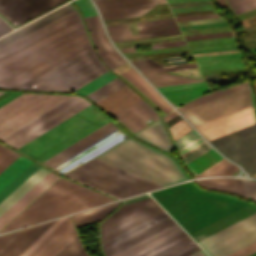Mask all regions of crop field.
<instances>
[{
    "label": "crop field",
    "mask_w": 256,
    "mask_h": 256,
    "mask_svg": "<svg viewBox=\"0 0 256 256\" xmlns=\"http://www.w3.org/2000/svg\"><path fill=\"white\" fill-rule=\"evenodd\" d=\"M116 117L134 133L148 125L143 121L149 118L154 121L159 118L156 112L143 99L117 114Z\"/></svg>",
    "instance_id": "92a150f3"
},
{
    "label": "crop field",
    "mask_w": 256,
    "mask_h": 256,
    "mask_svg": "<svg viewBox=\"0 0 256 256\" xmlns=\"http://www.w3.org/2000/svg\"><path fill=\"white\" fill-rule=\"evenodd\" d=\"M165 0H105L95 2L103 20L141 16Z\"/></svg>",
    "instance_id": "cbeb9de0"
},
{
    "label": "crop field",
    "mask_w": 256,
    "mask_h": 256,
    "mask_svg": "<svg viewBox=\"0 0 256 256\" xmlns=\"http://www.w3.org/2000/svg\"><path fill=\"white\" fill-rule=\"evenodd\" d=\"M239 170V168L224 159L206 169L202 173L194 176V178L204 177V176H212V175H229L235 171Z\"/></svg>",
    "instance_id": "c035e120"
},
{
    "label": "crop field",
    "mask_w": 256,
    "mask_h": 256,
    "mask_svg": "<svg viewBox=\"0 0 256 256\" xmlns=\"http://www.w3.org/2000/svg\"><path fill=\"white\" fill-rule=\"evenodd\" d=\"M107 122L90 105L17 150L42 162Z\"/></svg>",
    "instance_id": "412701ff"
},
{
    "label": "crop field",
    "mask_w": 256,
    "mask_h": 256,
    "mask_svg": "<svg viewBox=\"0 0 256 256\" xmlns=\"http://www.w3.org/2000/svg\"><path fill=\"white\" fill-rule=\"evenodd\" d=\"M12 30V28L7 25L1 18H0V35Z\"/></svg>",
    "instance_id": "ade564c9"
},
{
    "label": "crop field",
    "mask_w": 256,
    "mask_h": 256,
    "mask_svg": "<svg viewBox=\"0 0 256 256\" xmlns=\"http://www.w3.org/2000/svg\"><path fill=\"white\" fill-rule=\"evenodd\" d=\"M101 60H103V62L110 68H114L124 62H126V60H124L117 51H114L104 57L101 58Z\"/></svg>",
    "instance_id": "89e229c0"
},
{
    "label": "crop field",
    "mask_w": 256,
    "mask_h": 256,
    "mask_svg": "<svg viewBox=\"0 0 256 256\" xmlns=\"http://www.w3.org/2000/svg\"><path fill=\"white\" fill-rule=\"evenodd\" d=\"M145 76L156 87L204 81L203 78H201V79H191V78L180 77V76H177V75H174V74H171V73H167V72L147 74Z\"/></svg>",
    "instance_id": "1d83c4d3"
},
{
    "label": "crop field",
    "mask_w": 256,
    "mask_h": 256,
    "mask_svg": "<svg viewBox=\"0 0 256 256\" xmlns=\"http://www.w3.org/2000/svg\"><path fill=\"white\" fill-rule=\"evenodd\" d=\"M256 251V242L228 255V256H247Z\"/></svg>",
    "instance_id": "7b73153f"
},
{
    "label": "crop field",
    "mask_w": 256,
    "mask_h": 256,
    "mask_svg": "<svg viewBox=\"0 0 256 256\" xmlns=\"http://www.w3.org/2000/svg\"><path fill=\"white\" fill-rule=\"evenodd\" d=\"M248 85V81L238 85V86H234V87H231V88H228V89H224V90H221V91H218V92H214V93H211V94H207V95H204V96H201L185 105H183L181 108L182 110L186 109V108H189V107H192L194 105H197V104H200L202 102H205V101H208L210 99H213L215 97H218V96H221L223 94H226V93H229L231 91H234V90H237L239 88H242V87H245Z\"/></svg>",
    "instance_id": "d23c7cc5"
},
{
    "label": "crop field",
    "mask_w": 256,
    "mask_h": 256,
    "mask_svg": "<svg viewBox=\"0 0 256 256\" xmlns=\"http://www.w3.org/2000/svg\"><path fill=\"white\" fill-rule=\"evenodd\" d=\"M93 1H97V0H93Z\"/></svg>",
    "instance_id": "1f1604b0"
},
{
    "label": "crop field",
    "mask_w": 256,
    "mask_h": 256,
    "mask_svg": "<svg viewBox=\"0 0 256 256\" xmlns=\"http://www.w3.org/2000/svg\"><path fill=\"white\" fill-rule=\"evenodd\" d=\"M40 166L35 163H31L27 166L19 175H17L9 184H7L0 191V202L8 196L16 187H18L25 179H27L35 170H37Z\"/></svg>",
    "instance_id": "e1f06a70"
},
{
    "label": "crop field",
    "mask_w": 256,
    "mask_h": 256,
    "mask_svg": "<svg viewBox=\"0 0 256 256\" xmlns=\"http://www.w3.org/2000/svg\"><path fill=\"white\" fill-rule=\"evenodd\" d=\"M180 231H182V229L176 225V226L116 255V256H132V255H134V254H136V253H138V252H140V251H142V250H144V249H146V248H148V247H150V246H152V245H154V244H156V243H158V242H160V241H162Z\"/></svg>",
    "instance_id": "120bbe31"
},
{
    "label": "crop field",
    "mask_w": 256,
    "mask_h": 256,
    "mask_svg": "<svg viewBox=\"0 0 256 256\" xmlns=\"http://www.w3.org/2000/svg\"><path fill=\"white\" fill-rule=\"evenodd\" d=\"M251 104L247 86L181 112L196 126Z\"/></svg>",
    "instance_id": "28ad6ade"
},
{
    "label": "crop field",
    "mask_w": 256,
    "mask_h": 256,
    "mask_svg": "<svg viewBox=\"0 0 256 256\" xmlns=\"http://www.w3.org/2000/svg\"><path fill=\"white\" fill-rule=\"evenodd\" d=\"M67 95L24 93L0 107V138L66 99Z\"/></svg>",
    "instance_id": "e52e79f7"
},
{
    "label": "crop field",
    "mask_w": 256,
    "mask_h": 256,
    "mask_svg": "<svg viewBox=\"0 0 256 256\" xmlns=\"http://www.w3.org/2000/svg\"><path fill=\"white\" fill-rule=\"evenodd\" d=\"M109 201L113 200L61 178L0 232Z\"/></svg>",
    "instance_id": "34b2d1b8"
},
{
    "label": "crop field",
    "mask_w": 256,
    "mask_h": 256,
    "mask_svg": "<svg viewBox=\"0 0 256 256\" xmlns=\"http://www.w3.org/2000/svg\"><path fill=\"white\" fill-rule=\"evenodd\" d=\"M132 62L135 64V66L138 69L162 66L161 64H159L151 59L135 60Z\"/></svg>",
    "instance_id": "db79e9e6"
},
{
    "label": "crop field",
    "mask_w": 256,
    "mask_h": 256,
    "mask_svg": "<svg viewBox=\"0 0 256 256\" xmlns=\"http://www.w3.org/2000/svg\"><path fill=\"white\" fill-rule=\"evenodd\" d=\"M63 1L0 0V13L16 26Z\"/></svg>",
    "instance_id": "22f410ed"
},
{
    "label": "crop field",
    "mask_w": 256,
    "mask_h": 256,
    "mask_svg": "<svg viewBox=\"0 0 256 256\" xmlns=\"http://www.w3.org/2000/svg\"><path fill=\"white\" fill-rule=\"evenodd\" d=\"M208 4H213V3L211 0H204V1L184 2V3H173L169 5L171 8H176V7H187V6L208 5Z\"/></svg>",
    "instance_id": "78b8030e"
},
{
    "label": "crop field",
    "mask_w": 256,
    "mask_h": 256,
    "mask_svg": "<svg viewBox=\"0 0 256 256\" xmlns=\"http://www.w3.org/2000/svg\"><path fill=\"white\" fill-rule=\"evenodd\" d=\"M235 14L255 8L256 0H227Z\"/></svg>",
    "instance_id": "73cf0c24"
},
{
    "label": "crop field",
    "mask_w": 256,
    "mask_h": 256,
    "mask_svg": "<svg viewBox=\"0 0 256 256\" xmlns=\"http://www.w3.org/2000/svg\"><path fill=\"white\" fill-rule=\"evenodd\" d=\"M106 71L92 48L16 88L73 92Z\"/></svg>",
    "instance_id": "f4fd0767"
},
{
    "label": "crop field",
    "mask_w": 256,
    "mask_h": 256,
    "mask_svg": "<svg viewBox=\"0 0 256 256\" xmlns=\"http://www.w3.org/2000/svg\"><path fill=\"white\" fill-rule=\"evenodd\" d=\"M145 197H149V196L147 194H145V195L137 196L134 198L126 199L124 201V203H128V202L142 199ZM159 209H161V208L156 204V202L151 197L145 198L142 200H138L135 202H131L128 204H124L111 217H109L106 221H104V223L101 227L102 238L130 225L131 223H133V222H135V221H137V220H139V219H141ZM161 212H163L162 209L133 223L132 225L102 239V242L120 234L121 232H123V231H125V230H127V229L161 213Z\"/></svg>",
    "instance_id": "3316defc"
},
{
    "label": "crop field",
    "mask_w": 256,
    "mask_h": 256,
    "mask_svg": "<svg viewBox=\"0 0 256 256\" xmlns=\"http://www.w3.org/2000/svg\"><path fill=\"white\" fill-rule=\"evenodd\" d=\"M93 39L98 55L101 57L111 51L113 47L108 42L97 16L84 18Z\"/></svg>",
    "instance_id": "d3111659"
},
{
    "label": "crop field",
    "mask_w": 256,
    "mask_h": 256,
    "mask_svg": "<svg viewBox=\"0 0 256 256\" xmlns=\"http://www.w3.org/2000/svg\"><path fill=\"white\" fill-rule=\"evenodd\" d=\"M113 124L108 123L105 126L101 127L100 129L96 130L95 132L89 134L88 136L84 137L83 139L79 140L78 142L74 143L73 145L69 146L68 148L64 149L63 151L57 153L56 155L52 156L51 158L47 159L46 161L42 162L49 167H54L60 162L64 161L68 157L72 156L76 152L80 151L84 147L88 146L89 144L93 143L97 139L101 138L105 134L109 133L113 129H115Z\"/></svg>",
    "instance_id": "a9b5d70f"
},
{
    "label": "crop field",
    "mask_w": 256,
    "mask_h": 256,
    "mask_svg": "<svg viewBox=\"0 0 256 256\" xmlns=\"http://www.w3.org/2000/svg\"><path fill=\"white\" fill-rule=\"evenodd\" d=\"M253 132H256V124L250 127L244 128L242 130L236 131L234 133L228 134L226 136L220 137L218 139L212 140L209 143L212 144L214 147H216L221 144L227 143L229 141L235 140L237 138L243 137L245 135L251 134Z\"/></svg>",
    "instance_id": "425ffa30"
},
{
    "label": "crop field",
    "mask_w": 256,
    "mask_h": 256,
    "mask_svg": "<svg viewBox=\"0 0 256 256\" xmlns=\"http://www.w3.org/2000/svg\"><path fill=\"white\" fill-rule=\"evenodd\" d=\"M96 159L161 186L187 179L172 158L130 138Z\"/></svg>",
    "instance_id": "ac0d7876"
},
{
    "label": "crop field",
    "mask_w": 256,
    "mask_h": 256,
    "mask_svg": "<svg viewBox=\"0 0 256 256\" xmlns=\"http://www.w3.org/2000/svg\"><path fill=\"white\" fill-rule=\"evenodd\" d=\"M175 115H177V113L175 111H173L170 114H168L165 117H163V119H164V121H167V120H169L170 118H172Z\"/></svg>",
    "instance_id": "c3a83c6f"
},
{
    "label": "crop field",
    "mask_w": 256,
    "mask_h": 256,
    "mask_svg": "<svg viewBox=\"0 0 256 256\" xmlns=\"http://www.w3.org/2000/svg\"><path fill=\"white\" fill-rule=\"evenodd\" d=\"M134 136L141 138L167 152L171 151L172 144L168 138V135L164 129L161 120L149 125L148 127L133 134Z\"/></svg>",
    "instance_id": "eef30255"
},
{
    "label": "crop field",
    "mask_w": 256,
    "mask_h": 256,
    "mask_svg": "<svg viewBox=\"0 0 256 256\" xmlns=\"http://www.w3.org/2000/svg\"><path fill=\"white\" fill-rule=\"evenodd\" d=\"M65 175L120 198L161 187L96 159Z\"/></svg>",
    "instance_id": "dd49c442"
},
{
    "label": "crop field",
    "mask_w": 256,
    "mask_h": 256,
    "mask_svg": "<svg viewBox=\"0 0 256 256\" xmlns=\"http://www.w3.org/2000/svg\"><path fill=\"white\" fill-rule=\"evenodd\" d=\"M178 33H181L180 30L167 31V32H158V33H149V34H141V35H133V36H125V37H115V38H112V40L113 41L130 40V39H138V38L178 34Z\"/></svg>",
    "instance_id": "0fb4a251"
},
{
    "label": "crop field",
    "mask_w": 256,
    "mask_h": 256,
    "mask_svg": "<svg viewBox=\"0 0 256 256\" xmlns=\"http://www.w3.org/2000/svg\"><path fill=\"white\" fill-rule=\"evenodd\" d=\"M225 157L256 173V133L216 147Z\"/></svg>",
    "instance_id": "5142ce71"
},
{
    "label": "crop field",
    "mask_w": 256,
    "mask_h": 256,
    "mask_svg": "<svg viewBox=\"0 0 256 256\" xmlns=\"http://www.w3.org/2000/svg\"><path fill=\"white\" fill-rule=\"evenodd\" d=\"M55 256H88L75 235Z\"/></svg>",
    "instance_id": "b54c1fbb"
},
{
    "label": "crop field",
    "mask_w": 256,
    "mask_h": 256,
    "mask_svg": "<svg viewBox=\"0 0 256 256\" xmlns=\"http://www.w3.org/2000/svg\"><path fill=\"white\" fill-rule=\"evenodd\" d=\"M221 159L223 158L212 149L188 164L198 174Z\"/></svg>",
    "instance_id": "b80d0937"
},
{
    "label": "crop field",
    "mask_w": 256,
    "mask_h": 256,
    "mask_svg": "<svg viewBox=\"0 0 256 256\" xmlns=\"http://www.w3.org/2000/svg\"><path fill=\"white\" fill-rule=\"evenodd\" d=\"M88 105L72 96L0 140L17 149Z\"/></svg>",
    "instance_id": "d8731c3e"
},
{
    "label": "crop field",
    "mask_w": 256,
    "mask_h": 256,
    "mask_svg": "<svg viewBox=\"0 0 256 256\" xmlns=\"http://www.w3.org/2000/svg\"><path fill=\"white\" fill-rule=\"evenodd\" d=\"M219 17L218 14H212V15H201V16H191V17H180L175 18L176 21H182V20H193V19H204V18H215Z\"/></svg>",
    "instance_id": "ae633e8c"
},
{
    "label": "crop field",
    "mask_w": 256,
    "mask_h": 256,
    "mask_svg": "<svg viewBox=\"0 0 256 256\" xmlns=\"http://www.w3.org/2000/svg\"><path fill=\"white\" fill-rule=\"evenodd\" d=\"M114 77H116V76H114L112 73H110L108 71L105 74L99 76L98 78H96V79L92 80L91 82L85 84L84 86L80 87L79 89H77L74 92L86 95V94L90 93L91 91H93L94 89L98 88L99 86L103 85L104 83L108 82L109 80H111Z\"/></svg>",
    "instance_id": "5d738f31"
},
{
    "label": "crop field",
    "mask_w": 256,
    "mask_h": 256,
    "mask_svg": "<svg viewBox=\"0 0 256 256\" xmlns=\"http://www.w3.org/2000/svg\"><path fill=\"white\" fill-rule=\"evenodd\" d=\"M190 240L187 234L183 231L135 256H158L186 241ZM196 246V244L191 240L161 256H176L192 247Z\"/></svg>",
    "instance_id": "00972430"
},
{
    "label": "crop field",
    "mask_w": 256,
    "mask_h": 256,
    "mask_svg": "<svg viewBox=\"0 0 256 256\" xmlns=\"http://www.w3.org/2000/svg\"><path fill=\"white\" fill-rule=\"evenodd\" d=\"M125 85L122 83L117 77L109 81L108 83L104 84L103 86L99 87L98 89L94 90L87 96H89L95 103L103 99L104 97L108 96L112 92L116 91L120 87Z\"/></svg>",
    "instance_id": "03da06ac"
},
{
    "label": "crop field",
    "mask_w": 256,
    "mask_h": 256,
    "mask_svg": "<svg viewBox=\"0 0 256 256\" xmlns=\"http://www.w3.org/2000/svg\"><path fill=\"white\" fill-rule=\"evenodd\" d=\"M191 256H207V255L201 250V251H199V252H197V253H195Z\"/></svg>",
    "instance_id": "7312dd0a"
},
{
    "label": "crop field",
    "mask_w": 256,
    "mask_h": 256,
    "mask_svg": "<svg viewBox=\"0 0 256 256\" xmlns=\"http://www.w3.org/2000/svg\"><path fill=\"white\" fill-rule=\"evenodd\" d=\"M207 91H208L207 87L203 86V87L163 91L161 93L165 95L168 99L173 101L175 104L180 105Z\"/></svg>",
    "instance_id": "d32e631a"
},
{
    "label": "crop field",
    "mask_w": 256,
    "mask_h": 256,
    "mask_svg": "<svg viewBox=\"0 0 256 256\" xmlns=\"http://www.w3.org/2000/svg\"><path fill=\"white\" fill-rule=\"evenodd\" d=\"M203 85H206L205 82L177 85V86H169V87H161V88H157V89L159 91H163V90H171V89H179V88H187V87H195V86H203Z\"/></svg>",
    "instance_id": "0f1d7ab4"
},
{
    "label": "crop field",
    "mask_w": 256,
    "mask_h": 256,
    "mask_svg": "<svg viewBox=\"0 0 256 256\" xmlns=\"http://www.w3.org/2000/svg\"><path fill=\"white\" fill-rule=\"evenodd\" d=\"M74 10L67 4L0 39V47ZM80 18L74 10L0 48V57ZM78 19L2 58L0 88H14L92 48Z\"/></svg>",
    "instance_id": "8a807250"
},
{
    "label": "crop field",
    "mask_w": 256,
    "mask_h": 256,
    "mask_svg": "<svg viewBox=\"0 0 256 256\" xmlns=\"http://www.w3.org/2000/svg\"><path fill=\"white\" fill-rule=\"evenodd\" d=\"M129 82L137 87L142 93H144L149 99L157 104L166 113L172 110V108L132 69H128L122 73Z\"/></svg>",
    "instance_id": "ae1a2a85"
},
{
    "label": "crop field",
    "mask_w": 256,
    "mask_h": 256,
    "mask_svg": "<svg viewBox=\"0 0 256 256\" xmlns=\"http://www.w3.org/2000/svg\"><path fill=\"white\" fill-rule=\"evenodd\" d=\"M118 205V202L109 204L103 207H99L93 210H89L83 213L72 215L73 222L76 227L98 222L102 217H104L108 212H110L114 207Z\"/></svg>",
    "instance_id": "bd1437ed"
},
{
    "label": "crop field",
    "mask_w": 256,
    "mask_h": 256,
    "mask_svg": "<svg viewBox=\"0 0 256 256\" xmlns=\"http://www.w3.org/2000/svg\"><path fill=\"white\" fill-rule=\"evenodd\" d=\"M21 93H12V92H5L0 95V106L4 103L8 102L9 100L13 99L14 97L18 96Z\"/></svg>",
    "instance_id": "e1d0b9f6"
},
{
    "label": "crop field",
    "mask_w": 256,
    "mask_h": 256,
    "mask_svg": "<svg viewBox=\"0 0 256 256\" xmlns=\"http://www.w3.org/2000/svg\"><path fill=\"white\" fill-rule=\"evenodd\" d=\"M31 161L19 157L7 169L0 174V190L9 183L17 174H19Z\"/></svg>",
    "instance_id": "028f5c9d"
},
{
    "label": "crop field",
    "mask_w": 256,
    "mask_h": 256,
    "mask_svg": "<svg viewBox=\"0 0 256 256\" xmlns=\"http://www.w3.org/2000/svg\"><path fill=\"white\" fill-rule=\"evenodd\" d=\"M132 51H136V50H135V47L126 48V49H121V50H120L121 53H124V52H132Z\"/></svg>",
    "instance_id": "fb207236"
},
{
    "label": "crop field",
    "mask_w": 256,
    "mask_h": 256,
    "mask_svg": "<svg viewBox=\"0 0 256 256\" xmlns=\"http://www.w3.org/2000/svg\"><path fill=\"white\" fill-rule=\"evenodd\" d=\"M204 143H206V142L200 137L197 140L190 143L189 145H187L186 147L179 150V152H180L181 156L183 157ZM210 149H212V148L209 147L207 144H204L203 146L199 147L198 149H196L195 151L191 152L190 154H188L187 156H185L183 158L188 163V162L192 161L193 159L197 158L198 156L202 155L203 153L207 152Z\"/></svg>",
    "instance_id": "0bd39190"
},
{
    "label": "crop field",
    "mask_w": 256,
    "mask_h": 256,
    "mask_svg": "<svg viewBox=\"0 0 256 256\" xmlns=\"http://www.w3.org/2000/svg\"><path fill=\"white\" fill-rule=\"evenodd\" d=\"M183 44H186L185 41L172 42V43H163V44H155V45H151V49L162 48V47H169V46H176V45H183Z\"/></svg>",
    "instance_id": "d14b1444"
},
{
    "label": "crop field",
    "mask_w": 256,
    "mask_h": 256,
    "mask_svg": "<svg viewBox=\"0 0 256 256\" xmlns=\"http://www.w3.org/2000/svg\"><path fill=\"white\" fill-rule=\"evenodd\" d=\"M242 180H243L246 196L248 198L256 200V182L252 180H246V179H242Z\"/></svg>",
    "instance_id": "0765c3eb"
},
{
    "label": "crop field",
    "mask_w": 256,
    "mask_h": 256,
    "mask_svg": "<svg viewBox=\"0 0 256 256\" xmlns=\"http://www.w3.org/2000/svg\"><path fill=\"white\" fill-rule=\"evenodd\" d=\"M176 225L173 220L169 217L105 250L104 253L106 256H114L172 226Z\"/></svg>",
    "instance_id": "dafd665d"
},
{
    "label": "crop field",
    "mask_w": 256,
    "mask_h": 256,
    "mask_svg": "<svg viewBox=\"0 0 256 256\" xmlns=\"http://www.w3.org/2000/svg\"><path fill=\"white\" fill-rule=\"evenodd\" d=\"M126 137L128 136L124 135L117 128L52 169L63 174L86 162L87 160L99 155Z\"/></svg>",
    "instance_id": "733c2abd"
},
{
    "label": "crop field",
    "mask_w": 256,
    "mask_h": 256,
    "mask_svg": "<svg viewBox=\"0 0 256 256\" xmlns=\"http://www.w3.org/2000/svg\"><path fill=\"white\" fill-rule=\"evenodd\" d=\"M3 93V92H0V94Z\"/></svg>",
    "instance_id": "f0312440"
},
{
    "label": "crop field",
    "mask_w": 256,
    "mask_h": 256,
    "mask_svg": "<svg viewBox=\"0 0 256 256\" xmlns=\"http://www.w3.org/2000/svg\"><path fill=\"white\" fill-rule=\"evenodd\" d=\"M249 256H256V252H255V253H253V254H251V255H249Z\"/></svg>",
    "instance_id": "180be81f"
},
{
    "label": "crop field",
    "mask_w": 256,
    "mask_h": 256,
    "mask_svg": "<svg viewBox=\"0 0 256 256\" xmlns=\"http://www.w3.org/2000/svg\"><path fill=\"white\" fill-rule=\"evenodd\" d=\"M256 241V213L197 242L211 256H226Z\"/></svg>",
    "instance_id": "5a996713"
},
{
    "label": "crop field",
    "mask_w": 256,
    "mask_h": 256,
    "mask_svg": "<svg viewBox=\"0 0 256 256\" xmlns=\"http://www.w3.org/2000/svg\"><path fill=\"white\" fill-rule=\"evenodd\" d=\"M190 129L192 128L184 120L168 128L172 139L177 138Z\"/></svg>",
    "instance_id": "9d1cf04e"
},
{
    "label": "crop field",
    "mask_w": 256,
    "mask_h": 256,
    "mask_svg": "<svg viewBox=\"0 0 256 256\" xmlns=\"http://www.w3.org/2000/svg\"><path fill=\"white\" fill-rule=\"evenodd\" d=\"M167 217H169V216L164 212V213H162V214H160V215H158V216H156V217H154V218H152V219H150V220H148V221H146V222H144V223H142V224H140V225H138V226H136V227H134V228H132V229H130V230H128V231H126V232H124V233H122V234L104 242V243H102V247H103V249H105V248H107V247H109V246H111V245H113V244H115V243H117V242H119V241H121V240H123V239H125V238H127V237H129V236H131V235H133V234H135V233H137V232H139V231H141V230H143V229H145V228H147V227H149V226H151V225H153V224H155V223H157V222H159V221H161L165 218H167Z\"/></svg>",
    "instance_id": "5866460e"
},
{
    "label": "crop field",
    "mask_w": 256,
    "mask_h": 256,
    "mask_svg": "<svg viewBox=\"0 0 256 256\" xmlns=\"http://www.w3.org/2000/svg\"><path fill=\"white\" fill-rule=\"evenodd\" d=\"M58 178L59 176L50 172L44 176L36 185H34L26 194H24L0 216V229Z\"/></svg>",
    "instance_id": "214f88e0"
},
{
    "label": "crop field",
    "mask_w": 256,
    "mask_h": 256,
    "mask_svg": "<svg viewBox=\"0 0 256 256\" xmlns=\"http://www.w3.org/2000/svg\"><path fill=\"white\" fill-rule=\"evenodd\" d=\"M20 155L0 145V173Z\"/></svg>",
    "instance_id": "25e5ab78"
},
{
    "label": "crop field",
    "mask_w": 256,
    "mask_h": 256,
    "mask_svg": "<svg viewBox=\"0 0 256 256\" xmlns=\"http://www.w3.org/2000/svg\"><path fill=\"white\" fill-rule=\"evenodd\" d=\"M76 234L68 216L35 250L28 256H54Z\"/></svg>",
    "instance_id": "4a817a6b"
},
{
    "label": "crop field",
    "mask_w": 256,
    "mask_h": 256,
    "mask_svg": "<svg viewBox=\"0 0 256 256\" xmlns=\"http://www.w3.org/2000/svg\"><path fill=\"white\" fill-rule=\"evenodd\" d=\"M198 182L206 188L225 190L237 193L233 178H212L199 180Z\"/></svg>",
    "instance_id": "c21b1889"
},
{
    "label": "crop field",
    "mask_w": 256,
    "mask_h": 256,
    "mask_svg": "<svg viewBox=\"0 0 256 256\" xmlns=\"http://www.w3.org/2000/svg\"><path fill=\"white\" fill-rule=\"evenodd\" d=\"M234 179H235V182H236V185H237V189H238L239 195L246 198L245 192H244V188H243V184H242V180L241 179H237V178H234Z\"/></svg>",
    "instance_id": "c39391a2"
},
{
    "label": "crop field",
    "mask_w": 256,
    "mask_h": 256,
    "mask_svg": "<svg viewBox=\"0 0 256 256\" xmlns=\"http://www.w3.org/2000/svg\"><path fill=\"white\" fill-rule=\"evenodd\" d=\"M198 137H200V136L192 129L189 132H187L186 134H184L182 137H180L179 139L174 141V143L179 150L182 147L189 144L190 142H192L193 140L197 139Z\"/></svg>",
    "instance_id": "1d79db26"
},
{
    "label": "crop field",
    "mask_w": 256,
    "mask_h": 256,
    "mask_svg": "<svg viewBox=\"0 0 256 256\" xmlns=\"http://www.w3.org/2000/svg\"><path fill=\"white\" fill-rule=\"evenodd\" d=\"M73 2L81 10L84 17L97 15L94 6L89 2V0H75Z\"/></svg>",
    "instance_id": "dbb93151"
},
{
    "label": "crop field",
    "mask_w": 256,
    "mask_h": 256,
    "mask_svg": "<svg viewBox=\"0 0 256 256\" xmlns=\"http://www.w3.org/2000/svg\"><path fill=\"white\" fill-rule=\"evenodd\" d=\"M198 250H200V248L197 246V247H195V248H193V249H191V250H189V251H187V252H185V253H183V254H181L179 256H188V255H190V254H192V253H194V252H196Z\"/></svg>",
    "instance_id": "c5b07064"
},
{
    "label": "crop field",
    "mask_w": 256,
    "mask_h": 256,
    "mask_svg": "<svg viewBox=\"0 0 256 256\" xmlns=\"http://www.w3.org/2000/svg\"><path fill=\"white\" fill-rule=\"evenodd\" d=\"M142 33L179 29L174 18L137 22ZM130 35L139 34L140 31L135 22L125 24ZM124 24L106 26L111 37L129 35Z\"/></svg>",
    "instance_id": "bc2a9ffb"
},
{
    "label": "crop field",
    "mask_w": 256,
    "mask_h": 256,
    "mask_svg": "<svg viewBox=\"0 0 256 256\" xmlns=\"http://www.w3.org/2000/svg\"><path fill=\"white\" fill-rule=\"evenodd\" d=\"M138 100L140 98L125 85L96 104L114 116Z\"/></svg>",
    "instance_id": "4177f3b9"
},
{
    "label": "crop field",
    "mask_w": 256,
    "mask_h": 256,
    "mask_svg": "<svg viewBox=\"0 0 256 256\" xmlns=\"http://www.w3.org/2000/svg\"><path fill=\"white\" fill-rule=\"evenodd\" d=\"M255 212L256 206L249 204L190 235L197 242Z\"/></svg>",
    "instance_id": "730fd06b"
},
{
    "label": "crop field",
    "mask_w": 256,
    "mask_h": 256,
    "mask_svg": "<svg viewBox=\"0 0 256 256\" xmlns=\"http://www.w3.org/2000/svg\"><path fill=\"white\" fill-rule=\"evenodd\" d=\"M66 217L58 219L43 235H41L21 256H27L50 232H52Z\"/></svg>",
    "instance_id": "447ae74e"
},
{
    "label": "crop field",
    "mask_w": 256,
    "mask_h": 256,
    "mask_svg": "<svg viewBox=\"0 0 256 256\" xmlns=\"http://www.w3.org/2000/svg\"><path fill=\"white\" fill-rule=\"evenodd\" d=\"M252 105L196 126L207 141L255 124Z\"/></svg>",
    "instance_id": "d1516ede"
},
{
    "label": "crop field",
    "mask_w": 256,
    "mask_h": 256,
    "mask_svg": "<svg viewBox=\"0 0 256 256\" xmlns=\"http://www.w3.org/2000/svg\"><path fill=\"white\" fill-rule=\"evenodd\" d=\"M46 222L22 231L0 236V256H19L26 250L53 222Z\"/></svg>",
    "instance_id": "d9b57169"
},
{
    "label": "crop field",
    "mask_w": 256,
    "mask_h": 256,
    "mask_svg": "<svg viewBox=\"0 0 256 256\" xmlns=\"http://www.w3.org/2000/svg\"><path fill=\"white\" fill-rule=\"evenodd\" d=\"M49 171L39 168L27 180H25L18 188H16L8 197L0 203V215L7 210L15 201H17L24 193H26L34 184H36Z\"/></svg>",
    "instance_id": "750c4746"
},
{
    "label": "crop field",
    "mask_w": 256,
    "mask_h": 256,
    "mask_svg": "<svg viewBox=\"0 0 256 256\" xmlns=\"http://www.w3.org/2000/svg\"><path fill=\"white\" fill-rule=\"evenodd\" d=\"M194 67H196L195 63H190V64L166 66V67H159V68L142 69L140 70V72L142 74H146V73H154V72H162V71H170V70H178V69H186V68H194Z\"/></svg>",
    "instance_id": "1f2cbd36"
}]
</instances>
